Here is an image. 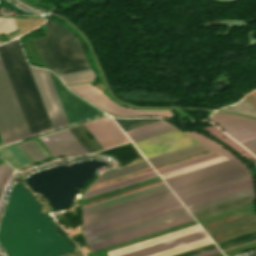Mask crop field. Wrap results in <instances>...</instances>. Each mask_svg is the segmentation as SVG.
Wrapping results in <instances>:
<instances>
[{
  "label": "crop field",
  "mask_w": 256,
  "mask_h": 256,
  "mask_svg": "<svg viewBox=\"0 0 256 256\" xmlns=\"http://www.w3.org/2000/svg\"><path fill=\"white\" fill-rule=\"evenodd\" d=\"M0 54L31 135L68 125L48 72L29 65L52 128L19 41L0 45Z\"/></svg>",
  "instance_id": "crop-field-1"
},
{
  "label": "crop field",
  "mask_w": 256,
  "mask_h": 256,
  "mask_svg": "<svg viewBox=\"0 0 256 256\" xmlns=\"http://www.w3.org/2000/svg\"><path fill=\"white\" fill-rule=\"evenodd\" d=\"M0 133L5 144L31 136L1 58Z\"/></svg>",
  "instance_id": "crop-field-2"
},
{
  "label": "crop field",
  "mask_w": 256,
  "mask_h": 256,
  "mask_svg": "<svg viewBox=\"0 0 256 256\" xmlns=\"http://www.w3.org/2000/svg\"><path fill=\"white\" fill-rule=\"evenodd\" d=\"M45 27L64 73L91 68L77 38L58 23L47 21Z\"/></svg>",
  "instance_id": "crop-field-3"
},
{
  "label": "crop field",
  "mask_w": 256,
  "mask_h": 256,
  "mask_svg": "<svg viewBox=\"0 0 256 256\" xmlns=\"http://www.w3.org/2000/svg\"><path fill=\"white\" fill-rule=\"evenodd\" d=\"M196 143L199 142L178 129L135 142L147 159Z\"/></svg>",
  "instance_id": "crop-field-4"
},
{
  "label": "crop field",
  "mask_w": 256,
  "mask_h": 256,
  "mask_svg": "<svg viewBox=\"0 0 256 256\" xmlns=\"http://www.w3.org/2000/svg\"><path fill=\"white\" fill-rule=\"evenodd\" d=\"M74 92L83 96L87 100L96 104L105 111L118 115V116H164L170 117L172 112L170 111H138L128 108H122L115 105L111 100L105 97L102 93L91 87L90 84L72 87Z\"/></svg>",
  "instance_id": "crop-field-5"
},
{
  "label": "crop field",
  "mask_w": 256,
  "mask_h": 256,
  "mask_svg": "<svg viewBox=\"0 0 256 256\" xmlns=\"http://www.w3.org/2000/svg\"><path fill=\"white\" fill-rule=\"evenodd\" d=\"M103 149L129 141L111 117L84 124Z\"/></svg>",
  "instance_id": "crop-field-6"
},
{
  "label": "crop field",
  "mask_w": 256,
  "mask_h": 256,
  "mask_svg": "<svg viewBox=\"0 0 256 256\" xmlns=\"http://www.w3.org/2000/svg\"><path fill=\"white\" fill-rule=\"evenodd\" d=\"M210 118L221 125L239 143L256 138V121L216 113Z\"/></svg>",
  "instance_id": "crop-field-7"
},
{
  "label": "crop field",
  "mask_w": 256,
  "mask_h": 256,
  "mask_svg": "<svg viewBox=\"0 0 256 256\" xmlns=\"http://www.w3.org/2000/svg\"><path fill=\"white\" fill-rule=\"evenodd\" d=\"M53 156L85 153V149L69 129L41 137Z\"/></svg>",
  "instance_id": "crop-field-8"
},
{
  "label": "crop field",
  "mask_w": 256,
  "mask_h": 256,
  "mask_svg": "<svg viewBox=\"0 0 256 256\" xmlns=\"http://www.w3.org/2000/svg\"><path fill=\"white\" fill-rule=\"evenodd\" d=\"M190 220H193V218L190 214H188V215L181 216L172 220H168L159 224H155L146 228H142L136 231H132L123 235H119L110 239H106L97 243L90 244V247L93 249V251H95L112 244H116L128 239H132L141 235H145V234H148L157 230H161L170 226H174Z\"/></svg>",
  "instance_id": "crop-field-9"
},
{
  "label": "crop field",
  "mask_w": 256,
  "mask_h": 256,
  "mask_svg": "<svg viewBox=\"0 0 256 256\" xmlns=\"http://www.w3.org/2000/svg\"><path fill=\"white\" fill-rule=\"evenodd\" d=\"M243 165V162L239 159H231L224 162H220L211 166H207L198 170H194L185 174H181L172 178L165 179V182L169 187L178 185L187 181H191L200 177H204L210 174H214L223 170H227L236 166Z\"/></svg>",
  "instance_id": "crop-field-10"
},
{
  "label": "crop field",
  "mask_w": 256,
  "mask_h": 256,
  "mask_svg": "<svg viewBox=\"0 0 256 256\" xmlns=\"http://www.w3.org/2000/svg\"><path fill=\"white\" fill-rule=\"evenodd\" d=\"M185 214H188L186 209L180 210V211L170 213V214H167V215H164V216H160V217H157V218H154V219H150V220L143 221V222H140V223H137V224H133V225H130V226H127V227H123V228H120V229H117V230H113V231H110V232H107V233H104V234L86 239V241H87L88 244H90V243H93V242H97V241H100V240H103V239H106V238H110V237H113V236H116V235H119V234H123V233L129 232V231H132V230H136V229H139V228H142V227H146V226H149V225H152V224H155V223H159V222H162V221H165V220H168V219H172V218H175V217H178V216H181V215H185Z\"/></svg>",
  "instance_id": "crop-field-11"
},
{
  "label": "crop field",
  "mask_w": 256,
  "mask_h": 256,
  "mask_svg": "<svg viewBox=\"0 0 256 256\" xmlns=\"http://www.w3.org/2000/svg\"><path fill=\"white\" fill-rule=\"evenodd\" d=\"M46 37H40L38 39H34V43L39 51V54L45 64V66L53 69L58 74L63 73L56 57L55 51L51 44L50 38L45 32Z\"/></svg>",
  "instance_id": "crop-field-12"
},
{
  "label": "crop field",
  "mask_w": 256,
  "mask_h": 256,
  "mask_svg": "<svg viewBox=\"0 0 256 256\" xmlns=\"http://www.w3.org/2000/svg\"><path fill=\"white\" fill-rule=\"evenodd\" d=\"M204 237H207V235L203 231H201V232H198V233H194V234H191V235H188V236H184V237H181V238H178V239H175V240H171V241H168V242H165V243H161V244H158V245H155V246H152V247H148V248H145V249H142V250H139V251H135V252H132V253H129V254H125V255H122V256H144V255H147V254H150V253H154V252H157V251H160V250H164V249H167V248H170V247H174V246L184 244V243L194 241V240L204 238Z\"/></svg>",
  "instance_id": "crop-field-13"
},
{
  "label": "crop field",
  "mask_w": 256,
  "mask_h": 256,
  "mask_svg": "<svg viewBox=\"0 0 256 256\" xmlns=\"http://www.w3.org/2000/svg\"><path fill=\"white\" fill-rule=\"evenodd\" d=\"M164 188H167L165 183L160 184V185H156V186H153V187H150V188H146V189H143V190H140V191H137V192H133V193H130V194H127V195H123V196H120V197H117V198H114V199H110V200H107V201H104V202H101V203H97V204H94V205H91V206H87V207L83 208V214L87 213V212H90V211H94V210L103 208V207H106V206H110V205L119 203V202H122V201H125V200H129V199L141 196V195H145V194L157 191V190H161V189H164Z\"/></svg>",
  "instance_id": "crop-field-14"
},
{
  "label": "crop field",
  "mask_w": 256,
  "mask_h": 256,
  "mask_svg": "<svg viewBox=\"0 0 256 256\" xmlns=\"http://www.w3.org/2000/svg\"><path fill=\"white\" fill-rule=\"evenodd\" d=\"M147 168H150V165L148 164V162L146 160H144V161H141V162H138L135 164H131V165H128V166H125V167H122V168H119V169H116V170H113L110 172H106V173L100 175L98 177V179L95 182H93L91 185L98 184V183H101V182H104L107 180H111V179H114L117 177H121V176L130 174V173H134V172L143 170V169H147Z\"/></svg>",
  "instance_id": "crop-field-15"
},
{
  "label": "crop field",
  "mask_w": 256,
  "mask_h": 256,
  "mask_svg": "<svg viewBox=\"0 0 256 256\" xmlns=\"http://www.w3.org/2000/svg\"><path fill=\"white\" fill-rule=\"evenodd\" d=\"M206 149H209V148L206 147L205 145L199 143V144H196V145H193V146L181 149V150H177V151H174V152H171V153L159 156V157L149 159L148 161L153 166H155V165L165 163V162H168V161L180 158V157H184V156H187V155L199 152V151L206 150Z\"/></svg>",
  "instance_id": "crop-field-16"
},
{
  "label": "crop field",
  "mask_w": 256,
  "mask_h": 256,
  "mask_svg": "<svg viewBox=\"0 0 256 256\" xmlns=\"http://www.w3.org/2000/svg\"><path fill=\"white\" fill-rule=\"evenodd\" d=\"M254 201H255V194L251 195V196L241 198V199H238V200H234V201H231V202H228V203H225V204H221V205H218V206H215V207H212V208H208V209H205V210H202V211H199V212H195V213H192V215L196 219H198V218L205 217V216H208V215H211V214H215V213H218V212H221V211H224V210H228V209H231V208H234V207H237V206H241V205H244V204H247V203H251V202H254Z\"/></svg>",
  "instance_id": "crop-field-17"
},
{
  "label": "crop field",
  "mask_w": 256,
  "mask_h": 256,
  "mask_svg": "<svg viewBox=\"0 0 256 256\" xmlns=\"http://www.w3.org/2000/svg\"><path fill=\"white\" fill-rule=\"evenodd\" d=\"M171 197H174L173 193L168 194V195H164V196H161V197H158V198H154V199H151V200H148V201H144V202H141V203H138V204H134V205H131V206H128V207H124V208H121V209H118V210H114V211H111V212H108V213H104V214H101V215H98V216H94V217H91V218H88V219H84L83 223L85 225V224H88V223H91V222H95V221H98V220H101V219H104V218H107V217H110V216H114V215L129 211V210H133V209H136V208H139V207H142V206H145V205H149V204H152V203L164 200V199H168V198H171Z\"/></svg>",
  "instance_id": "crop-field-18"
},
{
  "label": "crop field",
  "mask_w": 256,
  "mask_h": 256,
  "mask_svg": "<svg viewBox=\"0 0 256 256\" xmlns=\"http://www.w3.org/2000/svg\"><path fill=\"white\" fill-rule=\"evenodd\" d=\"M167 193H171L169 188L161 190V191H157V192L145 195V196H141V197H138V198L126 201V202H122V203H119V204H116V205H113V206H110V207H106V208H103V209H100V210H97V211H94V212L84 214L83 219L87 218V217L97 215V214H101V213H104V212H107V211H111V210H114V209H117V208H121V207H124V206H127V205H131V204H134V203H137V202H141V201H144V200H147V199H151V198H154V197H157V196H161V195H164V194H167Z\"/></svg>",
  "instance_id": "crop-field-19"
},
{
  "label": "crop field",
  "mask_w": 256,
  "mask_h": 256,
  "mask_svg": "<svg viewBox=\"0 0 256 256\" xmlns=\"http://www.w3.org/2000/svg\"><path fill=\"white\" fill-rule=\"evenodd\" d=\"M256 222V214L206 229L209 236Z\"/></svg>",
  "instance_id": "crop-field-20"
},
{
  "label": "crop field",
  "mask_w": 256,
  "mask_h": 256,
  "mask_svg": "<svg viewBox=\"0 0 256 256\" xmlns=\"http://www.w3.org/2000/svg\"><path fill=\"white\" fill-rule=\"evenodd\" d=\"M153 176H157L155 171L149 172V173H146V174H143V175H139V176H136V177H132V178H129V179H126V180H122V181H119V182H116V183H112V184H109V185H106V186L88 191L86 193L85 197H88V196H91V195H94V194H97V193H101V192H104V191H107V190H110V189H113V188H116V187H120V186H123V185H126V184L137 182V181H140V180H143V179H147V178H150V177H153Z\"/></svg>",
  "instance_id": "crop-field-21"
},
{
  "label": "crop field",
  "mask_w": 256,
  "mask_h": 256,
  "mask_svg": "<svg viewBox=\"0 0 256 256\" xmlns=\"http://www.w3.org/2000/svg\"><path fill=\"white\" fill-rule=\"evenodd\" d=\"M252 193H253V188L242 191V192H238V193H235V194H232V195H228V196H225V197H222V198H218V199H215V200H212V201H208V202H205V203H202V204H198V205H195V206H192V207H188V210L190 211V213H192V212L202 210V209H205V208H208V207L220 204V203H224V202H227V201H230V200L242 197V196H246V195H249V194H252Z\"/></svg>",
  "instance_id": "crop-field-22"
},
{
  "label": "crop field",
  "mask_w": 256,
  "mask_h": 256,
  "mask_svg": "<svg viewBox=\"0 0 256 256\" xmlns=\"http://www.w3.org/2000/svg\"><path fill=\"white\" fill-rule=\"evenodd\" d=\"M246 174H249L248 169L244 170V171L234 173V174H231V175H227V176H224V177H221V178H218V179H214V180H211V181H208V182H204V183H201V184H198V185H195V186H191V187H188V188H185V189H182V190H178V191H175V193H176L177 196H179V195H182V194H185V193H189V192H192V191L204 188V187H208V186L220 183V182H224V181H227V180L239 177V176H243V175H246Z\"/></svg>",
  "instance_id": "crop-field-23"
},
{
  "label": "crop field",
  "mask_w": 256,
  "mask_h": 256,
  "mask_svg": "<svg viewBox=\"0 0 256 256\" xmlns=\"http://www.w3.org/2000/svg\"><path fill=\"white\" fill-rule=\"evenodd\" d=\"M255 239H256V230L246 234L236 236V237H232L223 241L216 242V244L220 247L221 250H223V249L230 248V247H233L242 243H246Z\"/></svg>",
  "instance_id": "crop-field-24"
},
{
  "label": "crop field",
  "mask_w": 256,
  "mask_h": 256,
  "mask_svg": "<svg viewBox=\"0 0 256 256\" xmlns=\"http://www.w3.org/2000/svg\"><path fill=\"white\" fill-rule=\"evenodd\" d=\"M181 205H182L181 202L176 203V204H172V205H169V206H166V207H163V208H159V209H156V210H153V211H150V212H146V213L134 216V217H130V218H127V219H124V220H121V221H117V222H114V223H111V224H108V225H104V226H101V227H98V228H95V229H92V230L85 231L84 234L86 235V234H89V233H92V232H95V231H99V230H102V229H105V228H108V227H111V226H114V225H118V224H121V223H124V222H128V221H131V220H134V219H138V218H141V217H144V216H148V215L158 213V212H161V211H164V210H168V209H171V208H174V207H178V206H181Z\"/></svg>",
  "instance_id": "crop-field-25"
},
{
  "label": "crop field",
  "mask_w": 256,
  "mask_h": 256,
  "mask_svg": "<svg viewBox=\"0 0 256 256\" xmlns=\"http://www.w3.org/2000/svg\"><path fill=\"white\" fill-rule=\"evenodd\" d=\"M217 156H220V155L218 153L214 152V153H211V154H208V155H205V156H201V157H198V158L186 161V162H182V163L175 164V165H172V166H169V167L158 169L157 171H158L159 174H161V173H165V172H168V171L183 168V167H186V166H190V165H193V164H196V163H199V162H202V161H205V160L217 157Z\"/></svg>",
  "instance_id": "crop-field-26"
},
{
  "label": "crop field",
  "mask_w": 256,
  "mask_h": 256,
  "mask_svg": "<svg viewBox=\"0 0 256 256\" xmlns=\"http://www.w3.org/2000/svg\"><path fill=\"white\" fill-rule=\"evenodd\" d=\"M246 168H247V166L243 165V166L236 167V168H233V169H230V170H227V171H223V172H220V173H217V174H214V175H210V176H207V177H204V178H200V179H197V180H194V181H191V182H187V183H184V184H181V185H178V186H174V187H171V189L173 191H175V190H178V189H182V188L194 185V184H198V183H201V182H204V181H207V180H210V179H214V178H217V177H220V176H223V175H227V174H230V173H233V172H236V171H239V170H243V169H246Z\"/></svg>",
  "instance_id": "crop-field-27"
},
{
  "label": "crop field",
  "mask_w": 256,
  "mask_h": 256,
  "mask_svg": "<svg viewBox=\"0 0 256 256\" xmlns=\"http://www.w3.org/2000/svg\"><path fill=\"white\" fill-rule=\"evenodd\" d=\"M189 135L194 137L195 139L201 141L202 143L208 145L209 147L215 149L216 151L222 153L223 155L229 157V158H234L235 157L234 154L230 153L229 151L224 149L222 146H220L216 142L210 140L209 138H207V137H205V136H203V135H201L197 132L189 133Z\"/></svg>",
  "instance_id": "crop-field-28"
},
{
  "label": "crop field",
  "mask_w": 256,
  "mask_h": 256,
  "mask_svg": "<svg viewBox=\"0 0 256 256\" xmlns=\"http://www.w3.org/2000/svg\"><path fill=\"white\" fill-rule=\"evenodd\" d=\"M115 119V118H114ZM123 131L135 128L160 119H115Z\"/></svg>",
  "instance_id": "crop-field-29"
},
{
  "label": "crop field",
  "mask_w": 256,
  "mask_h": 256,
  "mask_svg": "<svg viewBox=\"0 0 256 256\" xmlns=\"http://www.w3.org/2000/svg\"><path fill=\"white\" fill-rule=\"evenodd\" d=\"M180 209H184V207L181 206V207L174 208V209H171V210H168V211H164V212H161V213H158V214H154V215H151V216H148V217H144V218H141V219H138V220H134V221H131V222H128V223H124V224H121V225H118V226H114V227H111V228H108V229H105V230H102V231H99V232H95V233L86 235L85 239L89 238V237H92V236H95V235H98V234H101V233H104V232H107V231H110V230H113V229H117V228L127 226V225H130V224H133V223H137V222H140V221H143V220L154 218V217L164 215V214H167V213H170V212H174V211H177V210H180Z\"/></svg>",
  "instance_id": "crop-field-30"
},
{
  "label": "crop field",
  "mask_w": 256,
  "mask_h": 256,
  "mask_svg": "<svg viewBox=\"0 0 256 256\" xmlns=\"http://www.w3.org/2000/svg\"><path fill=\"white\" fill-rule=\"evenodd\" d=\"M60 77L62 78V80L65 83L95 78L92 70L78 72V73H72V74H67V75H61Z\"/></svg>",
  "instance_id": "crop-field-31"
},
{
  "label": "crop field",
  "mask_w": 256,
  "mask_h": 256,
  "mask_svg": "<svg viewBox=\"0 0 256 256\" xmlns=\"http://www.w3.org/2000/svg\"><path fill=\"white\" fill-rule=\"evenodd\" d=\"M174 200H177V198L174 197V198H171V199H168V200H164V201H161V202H158V203L149 205V206H145V207H142V208H139V209L130 211V212H126V213H123V214H120V215H117V216H114V217H110V218H107V219H104V220H101V221H98V222H95V223H91V224L85 225V226H84V229H85V228H88V227H91V226H94V225H97V224H100V223H103V222H106V221H110V220H113V219L122 217V216L129 215V214H132V213H135V212H138V211H142V210H145V209L154 207V206H158V205H161V204L170 202V201H174Z\"/></svg>",
  "instance_id": "crop-field-32"
},
{
  "label": "crop field",
  "mask_w": 256,
  "mask_h": 256,
  "mask_svg": "<svg viewBox=\"0 0 256 256\" xmlns=\"http://www.w3.org/2000/svg\"><path fill=\"white\" fill-rule=\"evenodd\" d=\"M166 125H169V124L160 120V121H157V122L145 125V126H141V127L126 131V133L129 137H131V136L141 134V133H144V132H147V131H150V130H153V129H156L159 127L166 126Z\"/></svg>",
  "instance_id": "crop-field-33"
},
{
  "label": "crop field",
  "mask_w": 256,
  "mask_h": 256,
  "mask_svg": "<svg viewBox=\"0 0 256 256\" xmlns=\"http://www.w3.org/2000/svg\"><path fill=\"white\" fill-rule=\"evenodd\" d=\"M17 29L13 17L0 16V33H9Z\"/></svg>",
  "instance_id": "crop-field-34"
},
{
  "label": "crop field",
  "mask_w": 256,
  "mask_h": 256,
  "mask_svg": "<svg viewBox=\"0 0 256 256\" xmlns=\"http://www.w3.org/2000/svg\"><path fill=\"white\" fill-rule=\"evenodd\" d=\"M12 173L13 170L7 163L0 165V188L6 186Z\"/></svg>",
  "instance_id": "crop-field-35"
},
{
  "label": "crop field",
  "mask_w": 256,
  "mask_h": 256,
  "mask_svg": "<svg viewBox=\"0 0 256 256\" xmlns=\"http://www.w3.org/2000/svg\"><path fill=\"white\" fill-rule=\"evenodd\" d=\"M173 129H176V128L169 125V126H166V127H163V128H159V129L141 134V135L131 137V139H132L133 142H135V141H138V140H141V139H144V138H148V137H151V136H154V135L166 132V131H170V130H173Z\"/></svg>",
  "instance_id": "crop-field-36"
},
{
  "label": "crop field",
  "mask_w": 256,
  "mask_h": 256,
  "mask_svg": "<svg viewBox=\"0 0 256 256\" xmlns=\"http://www.w3.org/2000/svg\"><path fill=\"white\" fill-rule=\"evenodd\" d=\"M254 186H255V183L251 184V185L241 187V188H238V189H234V190H231V191H228V192H224V193H221V194H218V195H215V196H211V197H208V198H205V199H202V200H198V201H195V202H192V203H188V204H185V206L188 207V206H191V205H195V204H198V203H201V202H205V201H208V200H211V199H214V198H218V197L228 195V194H231V193H234V192H237V191H241V190H244V189H247V188H251V187H254Z\"/></svg>",
  "instance_id": "crop-field-37"
},
{
  "label": "crop field",
  "mask_w": 256,
  "mask_h": 256,
  "mask_svg": "<svg viewBox=\"0 0 256 256\" xmlns=\"http://www.w3.org/2000/svg\"><path fill=\"white\" fill-rule=\"evenodd\" d=\"M23 145L35 161L44 158L43 154L38 150V148L33 144L32 141L25 142L23 143Z\"/></svg>",
  "instance_id": "crop-field-38"
},
{
  "label": "crop field",
  "mask_w": 256,
  "mask_h": 256,
  "mask_svg": "<svg viewBox=\"0 0 256 256\" xmlns=\"http://www.w3.org/2000/svg\"><path fill=\"white\" fill-rule=\"evenodd\" d=\"M247 178H250V175L245 176V177H241V178H238V179H235V180H231V181H228V182H225V183H222V184H218V185H215V186H212V187H209V188H205V189H202V190H199V191H195V192H192V193H189V194H186V195L179 196V199L184 198V197H188V196H191V195H194V194H198V193H201V192H204V191H207V190H211V189H214V188H217V187H220V186H224V185H227V184H230V183H234V182H237V181H240V180H243V179H247Z\"/></svg>",
  "instance_id": "crop-field-39"
},
{
  "label": "crop field",
  "mask_w": 256,
  "mask_h": 256,
  "mask_svg": "<svg viewBox=\"0 0 256 256\" xmlns=\"http://www.w3.org/2000/svg\"><path fill=\"white\" fill-rule=\"evenodd\" d=\"M70 130L79 140V142L83 145V147L87 150L88 153L94 152L93 148L89 145V143L85 140V138L81 135V133L77 130L76 127L70 128Z\"/></svg>",
  "instance_id": "crop-field-40"
},
{
  "label": "crop field",
  "mask_w": 256,
  "mask_h": 256,
  "mask_svg": "<svg viewBox=\"0 0 256 256\" xmlns=\"http://www.w3.org/2000/svg\"><path fill=\"white\" fill-rule=\"evenodd\" d=\"M251 183H254V180L249 181V182H245V183H242V184H239V185H236V186H232V187H229V188H226V189H222V190H219V191H216V192H213V193H209V194H206V195H203V196H200V197H196V198H193V199H190V200L183 201V204L188 203V202H192V201H195V200H198V199H201V198H205V197H208V196H211V195H215V194H218V193H221V192H224V191H228V190H231V189H234V188H237V187H241V186H244V185H247V184H251Z\"/></svg>",
  "instance_id": "crop-field-41"
},
{
  "label": "crop field",
  "mask_w": 256,
  "mask_h": 256,
  "mask_svg": "<svg viewBox=\"0 0 256 256\" xmlns=\"http://www.w3.org/2000/svg\"><path fill=\"white\" fill-rule=\"evenodd\" d=\"M10 151L15 155V157L20 161L22 165L28 163L27 159L20 152L16 145L9 147Z\"/></svg>",
  "instance_id": "crop-field-42"
},
{
  "label": "crop field",
  "mask_w": 256,
  "mask_h": 256,
  "mask_svg": "<svg viewBox=\"0 0 256 256\" xmlns=\"http://www.w3.org/2000/svg\"><path fill=\"white\" fill-rule=\"evenodd\" d=\"M212 248H215L214 244L208 245V246H205V247H202V248H198V249H195V250H192V251H188V252H185V253H182V254H178V255H175V256H188V255H192V254L202 252V251L212 249Z\"/></svg>",
  "instance_id": "crop-field-43"
},
{
  "label": "crop field",
  "mask_w": 256,
  "mask_h": 256,
  "mask_svg": "<svg viewBox=\"0 0 256 256\" xmlns=\"http://www.w3.org/2000/svg\"><path fill=\"white\" fill-rule=\"evenodd\" d=\"M245 148H247L250 152L256 155V139L241 143Z\"/></svg>",
  "instance_id": "crop-field-44"
},
{
  "label": "crop field",
  "mask_w": 256,
  "mask_h": 256,
  "mask_svg": "<svg viewBox=\"0 0 256 256\" xmlns=\"http://www.w3.org/2000/svg\"><path fill=\"white\" fill-rule=\"evenodd\" d=\"M176 202H179V200L174 201V202H171V203H167V204H164V205H161V206L155 207V208H151V209H148V210H145V211L139 212V213H135V214H132V215H129V216L123 217V218H119V219H116V220H113V221H110V222H107V223H103V224H100V225H97V226H94V227H91V228H95V227H98V226H101V225H104V224H108V223H111V222H114V221H117V220H121V219H124V218L130 217V216H134V215H137V214H140V213H143V212H146V211H150V210H153V209H156V208H159V207H163V206H166V205H169V204H172V203H176ZM91 228H88V229H91ZM88 229H85V230H88ZM85 230H84V231H85Z\"/></svg>",
  "instance_id": "crop-field-45"
},
{
  "label": "crop field",
  "mask_w": 256,
  "mask_h": 256,
  "mask_svg": "<svg viewBox=\"0 0 256 256\" xmlns=\"http://www.w3.org/2000/svg\"><path fill=\"white\" fill-rule=\"evenodd\" d=\"M81 129L85 132V134L89 137V139L93 142V144L97 147L98 150H101V146L97 143V141L93 138V136L89 133V131L85 128L84 125L80 126Z\"/></svg>",
  "instance_id": "crop-field-46"
},
{
  "label": "crop field",
  "mask_w": 256,
  "mask_h": 256,
  "mask_svg": "<svg viewBox=\"0 0 256 256\" xmlns=\"http://www.w3.org/2000/svg\"><path fill=\"white\" fill-rule=\"evenodd\" d=\"M252 179L253 178L248 179V180H244V181H241V182H238V183H234V184H231V185H228V186H224V187H221V188H218V189H214V190H211V191H208V192H204V193H201V194H198V195H194V196H191V197H188V198H184V199H181V201L186 200V199H190V198H193V197H196V196H199V195H203V194H206V193H209V192H213V191H216V190H219V189H222V188H226V187H229V186H232V185H235V184H239V183H242V182H245V181H249V180H252Z\"/></svg>",
  "instance_id": "crop-field-47"
},
{
  "label": "crop field",
  "mask_w": 256,
  "mask_h": 256,
  "mask_svg": "<svg viewBox=\"0 0 256 256\" xmlns=\"http://www.w3.org/2000/svg\"><path fill=\"white\" fill-rule=\"evenodd\" d=\"M18 148L21 150V152L25 155V157L28 159L29 162H33V158L30 156V154L26 151V149L23 147L22 144L17 145Z\"/></svg>",
  "instance_id": "crop-field-48"
},
{
  "label": "crop field",
  "mask_w": 256,
  "mask_h": 256,
  "mask_svg": "<svg viewBox=\"0 0 256 256\" xmlns=\"http://www.w3.org/2000/svg\"><path fill=\"white\" fill-rule=\"evenodd\" d=\"M216 252H219V250L217 248L212 249V250H208V251H205V252H202V253H199V254H195V255H192V256H206V255L216 253Z\"/></svg>",
  "instance_id": "crop-field-49"
},
{
  "label": "crop field",
  "mask_w": 256,
  "mask_h": 256,
  "mask_svg": "<svg viewBox=\"0 0 256 256\" xmlns=\"http://www.w3.org/2000/svg\"><path fill=\"white\" fill-rule=\"evenodd\" d=\"M88 81H91V80L81 81V82H75V83H69V84H67V85H70V84H76V83H82V82H88Z\"/></svg>",
  "instance_id": "crop-field-50"
},
{
  "label": "crop field",
  "mask_w": 256,
  "mask_h": 256,
  "mask_svg": "<svg viewBox=\"0 0 256 256\" xmlns=\"http://www.w3.org/2000/svg\"><path fill=\"white\" fill-rule=\"evenodd\" d=\"M2 191H3V189H0V198H1Z\"/></svg>",
  "instance_id": "crop-field-51"
},
{
  "label": "crop field",
  "mask_w": 256,
  "mask_h": 256,
  "mask_svg": "<svg viewBox=\"0 0 256 256\" xmlns=\"http://www.w3.org/2000/svg\"><path fill=\"white\" fill-rule=\"evenodd\" d=\"M0 256H3V255H0Z\"/></svg>",
  "instance_id": "crop-field-52"
}]
</instances>
